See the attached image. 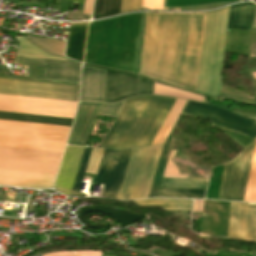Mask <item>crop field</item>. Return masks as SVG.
<instances>
[{
  "label": "crop field",
  "mask_w": 256,
  "mask_h": 256,
  "mask_svg": "<svg viewBox=\"0 0 256 256\" xmlns=\"http://www.w3.org/2000/svg\"><path fill=\"white\" fill-rule=\"evenodd\" d=\"M205 16L147 13L139 74L196 92Z\"/></svg>",
  "instance_id": "1"
},
{
  "label": "crop field",
  "mask_w": 256,
  "mask_h": 256,
  "mask_svg": "<svg viewBox=\"0 0 256 256\" xmlns=\"http://www.w3.org/2000/svg\"><path fill=\"white\" fill-rule=\"evenodd\" d=\"M174 101L149 95L126 100L102 148L151 145Z\"/></svg>",
  "instance_id": "2"
},
{
  "label": "crop field",
  "mask_w": 256,
  "mask_h": 256,
  "mask_svg": "<svg viewBox=\"0 0 256 256\" xmlns=\"http://www.w3.org/2000/svg\"><path fill=\"white\" fill-rule=\"evenodd\" d=\"M229 7L207 12L197 92L218 97Z\"/></svg>",
  "instance_id": "3"
},
{
  "label": "crop field",
  "mask_w": 256,
  "mask_h": 256,
  "mask_svg": "<svg viewBox=\"0 0 256 256\" xmlns=\"http://www.w3.org/2000/svg\"><path fill=\"white\" fill-rule=\"evenodd\" d=\"M69 128L0 120V145L63 152Z\"/></svg>",
  "instance_id": "4"
},
{
  "label": "crop field",
  "mask_w": 256,
  "mask_h": 256,
  "mask_svg": "<svg viewBox=\"0 0 256 256\" xmlns=\"http://www.w3.org/2000/svg\"><path fill=\"white\" fill-rule=\"evenodd\" d=\"M162 146L132 150L118 199L124 200L125 194H130L129 200L148 197Z\"/></svg>",
  "instance_id": "5"
},
{
  "label": "crop field",
  "mask_w": 256,
  "mask_h": 256,
  "mask_svg": "<svg viewBox=\"0 0 256 256\" xmlns=\"http://www.w3.org/2000/svg\"><path fill=\"white\" fill-rule=\"evenodd\" d=\"M0 94L78 102L79 86L0 78Z\"/></svg>",
  "instance_id": "6"
},
{
  "label": "crop field",
  "mask_w": 256,
  "mask_h": 256,
  "mask_svg": "<svg viewBox=\"0 0 256 256\" xmlns=\"http://www.w3.org/2000/svg\"><path fill=\"white\" fill-rule=\"evenodd\" d=\"M182 114L212 120L219 129L256 137V123L222 108L187 101Z\"/></svg>",
  "instance_id": "7"
},
{
  "label": "crop field",
  "mask_w": 256,
  "mask_h": 256,
  "mask_svg": "<svg viewBox=\"0 0 256 256\" xmlns=\"http://www.w3.org/2000/svg\"><path fill=\"white\" fill-rule=\"evenodd\" d=\"M78 103L0 95V111L73 118Z\"/></svg>",
  "instance_id": "8"
},
{
  "label": "crop field",
  "mask_w": 256,
  "mask_h": 256,
  "mask_svg": "<svg viewBox=\"0 0 256 256\" xmlns=\"http://www.w3.org/2000/svg\"><path fill=\"white\" fill-rule=\"evenodd\" d=\"M131 150H104L94 183L104 184L101 197L117 199Z\"/></svg>",
  "instance_id": "9"
},
{
  "label": "crop field",
  "mask_w": 256,
  "mask_h": 256,
  "mask_svg": "<svg viewBox=\"0 0 256 256\" xmlns=\"http://www.w3.org/2000/svg\"><path fill=\"white\" fill-rule=\"evenodd\" d=\"M254 142L226 164L218 199L243 201Z\"/></svg>",
  "instance_id": "10"
},
{
  "label": "crop field",
  "mask_w": 256,
  "mask_h": 256,
  "mask_svg": "<svg viewBox=\"0 0 256 256\" xmlns=\"http://www.w3.org/2000/svg\"><path fill=\"white\" fill-rule=\"evenodd\" d=\"M203 201L194 200L193 212H202ZM230 202L204 201L201 235L227 237Z\"/></svg>",
  "instance_id": "11"
},
{
  "label": "crop field",
  "mask_w": 256,
  "mask_h": 256,
  "mask_svg": "<svg viewBox=\"0 0 256 256\" xmlns=\"http://www.w3.org/2000/svg\"><path fill=\"white\" fill-rule=\"evenodd\" d=\"M228 237L256 241V204L231 202Z\"/></svg>",
  "instance_id": "12"
},
{
  "label": "crop field",
  "mask_w": 256,
  "mask_h": 256,
  "mask_svg": "<svg viewBox=\"0 0 256 256\" xmlns=\"http://www.w3.org/2000/svg\"><path fill=\"white\" fill-rule=\"evenodd\" d=\"M14 64L45 67L44 78L79 82L81 66L72 61L16 56Z\"/></svg>",
  "instance_id": "13"
},
{
  "label": "crop field",
  "mask_w": 256,
  "mask_h": 256,
  "mask_svg": "<svg viewBox=\"0 0 256 256\" xmlns=\"http://www.w3.org/2000/svg\"><path fill=\"white\" fill-rule=\"evenodd\" d=\"M139 79L106 71L104 102H116L138 95Z\"/></svg>",
  "instance_id": "14"
},
{
  "label": "crop field",
  "mask_w": 256,
  "mask_h": 256,
  "mask_svg": "<svg viewBox=\"0 0 256 256\" xmlns=\"http://www.w3.org/2000/svg\"><path fill=\"white\" fill-rule=\"evenodd\" d=\"M101 105L80 103L68 144L86 145Z\"/></svg>",
  "instance_id": "15"
},
{
  "label": "crop field",
  "mask_w": 256,
  "mask_h": 256,
  "mask_svg": "<svg viewBox=\"0 0 256 256\" xmlns=\"http://www.w3.org/2000/svg\"><path fill=\"white\" fill-rule=\"evenodd\" d=\"M105 71L83 66L80 101L103 102Z\"/></svg>",
  "instance_id": "16"
},
{
  "label": "crop field",
  "mask_w": 256,
  "mask_h": 256,
  "mask_svg": "<svg viewBox=\"0 0 256 256\" xmlns=\"http://www.w3.org/2000/svg\"><path fill=\"white\" fill-rule=\"evenodd\" d=\"M84 148L67 146L55 188L69 195Z\"/></svg>",
  "instance_id": "17"
},
{
  "label": "crop field",
  "mask_w": 256,
  "mask_h": 256,
  "mask_svg": "<svg viewBox=\"0 0 256 256\" xmlns=\"http://www.w3.org/2000/svg\"><path fill=\"white\" fill-rule=\"evenodd\" d=\"M56 176L0 170V185L52 188Z\"/></svg>",
  "instance_id": "18"
},
{
  "label": "crop field",
  "mask_w": 256,
  "mask_h": 256,
  "mask_svg": "<svg viewBox=\"0 0 256 256\" xmlns=\"http://www.w3.org/2000/svg\"><path fill=\"white\" fill-rule=\"evenodd\" d=\"M87 23H70L66 57L82 63Z\"/></svg>",
  "instance_id": "19"
},
{
  "label": "crop field",
  "mask_w": 256,
  "mask_h": 256,
  "mask_svg": "<svg viewBox=\"0 0 256 256\" xmlns=\"http://www.w3.org/2000/svg\"><path fill=\"white\" fill-rule=\"evenodd\" d=\"M254 7L252 3L232 5L228 27L251 31Z\"/></svg>",
  "instance_id": "20"
},
{
  "label": "crop field",
  "mask_w": 256,
  "mask_h": 256,
  "mask_svg": "<svg viewBox=\"0 0 256 256\" xmlns=\"http://www.w3.org/2000/svg\"><path fill=\"white\" fill-rule=\"evenodd\" d=\"M0 119L70 126L73 119L0 112Z\"/></svg>",
  "instance_id": "21"
},
{
  "label": "crop field",
  "mask_w": 256,
  "mask_h": 256,
  "mask_svg": "<svg viewBox=\"0 0 256 256\" xmlns=\"http://www.w3.org/2000/svg\"><path fill=\"white\" fill-rule=\"evenodd\" d=\"M179 121H180V118H178L175 126L173 127L170 135L168 136V138H167V140H166V142L163 146V150H162V153H161V156H160V160H159V163H158V166H157V170H156V173H155V177H154V180H153L152 187H151L148 198H152V197L157 196V192H158V189H159V186H160V182H161V179H162V176H163V172H164V169H165V166H166V162H167V159H168V156H169V152H170V149H171V147H172V145L175 141V140L170 139V138H171L173 132L175 131Z\"/></svg>",
  "instance_id": "22"
},
{
  "label": "crop field",
  "mask_w": 256,
  "mask_h": 256,
  "mask_svg": "<svg viewBox=\"0 0 256 256\" xmlns=\"http://www.w3.org/2000/svg\"><path fill=\"white\" fill-rule=\"evenodd\" d=\"M186 101L176 99L173 107L171 108L168 116L166 117L162 127L160 128L157 136L155 137L152 145L164 144L168 134L170 133L174 123L176 122L180 112L182 111Z\"/></svg>",
  "instance_id": "23"
},
{
  "label": "crop field",
  "mask_w": 256,
  "mask_h": 256,
  "mask_svg": "<svg viewBox=\"0 0 256 256\" xmlns=\"http://www.w3.org/2000/svg\"><path fill=\"white\" fill-rule=\"evenodd\" d=\"M140 207H162L164 210H189L191 211L192 200L152 199L134 202Z\"/></svg>",
  "instance_id": "24"
},
{
  "label": "crop field",
  "mask_w": 256,
  "mask_h": 256,
  "mask_svg": "<svg viewBox=\"0 0 256 256\" xmlns=\"http://www.w3.org/2000/svg\"><path fill=\"white\" fill-rule=\"evenodd\" d=\"M121 0H96L93 19H100L120 13Z\"/></svg>",
  "instance_id": "25"
},
{
  "label": "crop field",
  "mask_w": 256,
  "mask_h": 256,
  "mask_svg": "<svg viewBox=\"0 0 256 256\" xmlns=\"http://www.w3.org/2000/svg\"><path fill=\"white\" fill-rule=\"evenodd\" d=\"M26 38L35 46L45 50L46 52L53 55L64 57L63 56L64 45H65L64 41L30 37V36H27Z\"/></svg>",
  "instance_id": "26"
},
{
  "label": "crop field",
  "mask_w": 256,
  "mask_h": 256,
  "mask_svg": "<svg viewBox=\"0 0 256 256\" xmlns=\"http://www.w3.org/2000/svg\"><path fill=\"white\" fill-rule=\"evenodd\" d=\"M205 190L161 188L158 197L203 199Z\"/></svg>",
  "instance_id": "27"
},
{
  "label": "crop field",
  "mask_w": 256,
  "mask_h": 256,
  "mask_svg": "<svg viewBox=\"0 0 256 256\" xmlns=\"http://www.w3.org/2000/svg\"><path fill=\"white\" fill-rule=\"evenodd\" d=\"M207 182L208 180L164 178L161 187L205 189Z\"/></svg>",
  "instance_id": "28"
},
{
  "label": "crop field",
  "mask_w": 256,
  "mask_h": 256,
  "mask_svg": "<svg viewBox=\"0 0 256 256\" xmlns=\"http://www.w3.org/2000/svg\"><path fill=\"white\" fill-rule=\"evenodd\" d=\"M20 42L18 51L16 55L29 56V57H39V58H50V59H62L55 56L48 55L41 50L37 49L31 45L26 38L16 37ZM65 60V59H64Z\"/></svg>",
  "instance_id": "29"
},
{
  "label": "crop field",
  "mask_w": 256,
  "mask_h": 256,
  "mask_svg": "<svg viewBox=\"0 0 256 256\" xmlns=\"http://www.w3.org/2000/svg\"><path fill=\"white\" fill-rule=\"evenodd\" d=\"M244 201L256 202V142Z\"/></svg>",
  "instance_id": "30"
},
{
  "label": "crop field",
  "mask_w": 256,
  "mask_h": 256,
  "mask_svg": "<svg viewBox=\"0 0 256 256\" xmlns=\"http://www.w3.org/2000/svg\"><path fill=\"white\" fill-rule=\"evenodd\" d=\"M154 94L185 98L202 102L203 98L154 83Z\"/></svg>",
  "instance_id": "31"
},
{
  "label": "crop field",
  "mask_w": 256,
  "mask_h": 256,
  "mask_svg": "<svg viewBox=\"0 0 256 256\" xmlns=\"http://www.w3.org/2000/svg\"><path fill=\"white\" fill-rule=\"evenodd\" d=\"M92 149L85 148L70 196L77 197Z\"/></svg>",
  "instance_id": "32"
},
{
  "label": "crop field",
  "mask_w": 256,
  "mask_h": 256,
  "mask_svg": "<svg viewBox=\"0 0 256 256\" xmlns=\"http://www.w3.org/2000/svg\"><path fill=\"white\" fill-rule=\"evenodd\" d=\"M178 152V150L171 151L168 165L163 177L187 178V175H180L175 166Z\"/></svg>",
  "instance_id": "33"
},
{
  "label": "crop field",
  "mask_w": 256,
  "mask_h": 256,
  "mask_svg": "<svg viewBox=\"0 0 256 256\" xmlns=\"http://www.w3.org/2000/svg\"><path fill=\"white\" fill-rule=\"evenodd\" d=\"M103 150L93 149L85 174L96 175L99 161Z\"/></svg>",
  "instance_id": "34"
},
{
  "label": "crop field",
  "mask_w": 256,
  "mask_h": 256,
  "mask_svg": "<svg viewBox=\"0 0 256 256\" xmlns=\"http://www.w3.org/2000/svg\"><path fill=\"white\" fill-rule=\"evenodd\" d=\"M125 101L115 104H103L98 116L116 117Z\"/></svg>",
  "instance_id": "35"
},
{
  "label": "crop field",
  "mask_w": 256,
  "mask_h": 256,
  "mask_svg": "<svg viewBox=\"0 0 256 256\" xmlns=\"http://www.w3.org/2000/svg\"><path fill=\"white\" fill-rule=\"evenodd\" d=\"M142 0H122L121 13L140 9Z\"/></svg>",
  "instance_id": "36"
},
{
  "label": "crop field",
  "mask_w": 256,
  "mask_h": 256,
  "mask_svg": "<svg viewBox=\"0 0 256 256\" xmlns=\"http://www.w3.org/2000/svg\"><path fill=\"white\" fill-rule=\"evenodd\" d=\"M164 0H143L142 7L152 10L163 9Z\"/></svg>",
  "instance_id": "37"
},
{
  "label": "crop field",
  "mask_w": 256,
  "mask_h": 256,
  "mask_svg": "<svg viewBox=\"0 0 256 256\" xmlns=\"http://www.w3.org/2000/svg\"><path fill=\"white\" fill-rule=\"evenodd\" d=\"M0 77H2V78H12V79H23V80H33V81H43V82H54V83H64V84L79 85V83H75V82H65V81H56V80H47V79L28 78V77H18V76H8V75H0Z\"/></svg>",
  "instance_id": "38"
},
{
  "label": "crop field",
  "mask_w": 256,
  "mask_h": 256,
  "mask_svg": "<svg viewBox=\"0 0 256 256\" xmlns=\"http://www.w3.org/2000/svg\"><path fill=\"white\" fill-rule=\"evenodd\" d=\"M153 94V83L140 79L139 95Z\"/></svg>",
  "instance_id": "39"
},
{
  "label": "crop field",
  "mask_w": 256,
  "mask_h": 256,
  "mask_svg": "<svg viewBox=\"0 0 256 256\" xmlns=\"http://www.w3.org/2000/svg\"><path fill=\"white\" fill-rule=\"evenodd\" d=\"M220 97L227 98V99H231V100H235V101H239V102H244V103L255 104V105H256V103L249 102V101H245V100L235 99V98L226 97V96H222V95H220Z\"/></svg>",
  "instance_id": "40"
},
{
  "label": "crop field",
  "mask_w": 256,
  "mask_h": 256,
  "mask_svg": "<svg viewBox=\"0 0 256 256\" xmlns=\"http://www.w3.org/2000/svg\"><path fill=\"white\" fill-rule=\"evenodd\" d=\"M252 75H253L254 79H256V73H252Z\"/></svg>",
  "instance_id": "41"
}]
</instances>
